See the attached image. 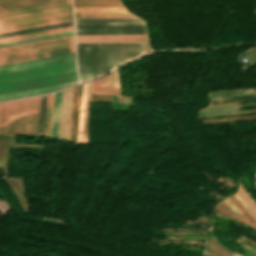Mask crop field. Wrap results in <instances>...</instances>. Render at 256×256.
<instances>
[{
    "label": "crop field",
    "mask_w": 256,
    "mask_h": 256,
    "mask_svg": "<svg viewBox=\"0 0 256 256\" xmlns=\"http://www.w3.org/2000/svg\"><path fill=\"white\" fill-rule=\"evenodd\" d=\"M41 96L1 103L0 133L37 136Z\"/></svg>",
    "instance_id": "crop-field-1"
},
{
    "label": "crop field",
    "mask_w": 256,
    "mask_h": 256,
    "mask_svg": "<svg viewBox=\"0 0 256 256\" xmlns=\"http://www.w3.org/2000/svg\"><path fill=\"white\" fill-rule=\"evenodd\" d=\"M72 18L71 4L0 16V31Z\"/></svg>",
    "instance_id": "crop-field-2"
},
{
    "label": "crop field",
    "mask_w": 256,
    "mask_h": 256,
    "mask_svg": "<svg viewBox=\"0 0 256 256\" xmlns=\"http://www.w3.org/2000/svg\"><path fill=\"white\" fill-rule=\"evenodd\" d=\"M101 75L142 53L141 43L98 44Z\"/></svg>",
    "instance_id": "crop-field-3"
},
{
    "label": "crop field",
    "mask_w": 256,
    "mask_h": 256,
    "mask_svg": "<svg viewBox=\"0 0 256 256\" xmlns=\"http://www.w3.org/2000/svg\"><path fill=\"white\" fill-rule=\"evenodd\" d=\"M76 72L75 62L1 74L0 85Z\"/></svg>",
    "instance_id": "crop-field-4"
},
{
    "label": "crop field",
    "mask_w": 256,
    "mask_h": 256,
    "mask_svg": "<svg viewBox=\"0 0 256 256\" xmlns=\"http://www.w3.org/2000/svg\"><path fill=\"white\" fill-rule=\"evenodd\" d=\"M80 81L100 75L97 44H77Z\"/></svg>",
    "instance_id": "crop-field-5"
},
{
    "label": "crop field",
    "mask_w": 256,
    "mask_h": 256,
    "mask_svg": "<svg viewBox=\"0 0 256 256\" xmlns=\"http://www.w3.org/2000/svg\"><path fill=\"white\" fill-rule=\"evenodd\" d=\"M75 52L74 43L0 56V65Z\"/></svg>",
    "instance_id": "crop-field-6"
},
{
    "label": "crop field",
    "mask_w": 256,
    "mask_h": 256,
    "mask_svg": "<svg viewBox=\"0 0 256 256\" xmlns=\"http://www.w3.org/2000/svg\"><path fill=\"white\" fill-rule=\"evenodd\" d=\"M146 34L144 25L76 26V35Z\"/></svg>",
    "instance_id": "crop-field-7"
},
{
    "label": "crop field",
    "mask_w": 256,
    "mask_h": 256,
    "mask_svg": "<svg viewBox=\"0 0 256 256\" xmlns=\"http://www.w3.org/2000/svg\"><path fill=\"white\" fill-rule=\"evenodd\" d=\"M73 61H75V53L0 66V74L19 71V70H25V69H31V68H37V67H43V66H49V65H55V64H61V63H67V62H73Z\"/></svg>",
    "instance_id": "crop-field-8"
},
{
    "label": "crop field",
    "mask_w": 256,
    "mask_h": 256,
    "mask_svg": "<svg viewBox=\"0 0 256 256\" xmlns=\"http://www.w3.org/2000/svg\"><path fill=\"white\" fill-rule=\"evenodd\" d=\"M77 80L76 73L0 86V93Z\"/></svg>",
    "instance_id": "crop-field-9"
},
{
    "label": "crop field",
    "mask_w": 256,
    "mask_h": 256,
    "mask_svg": "<svg viewBox=\"0 0 256 256\" xmlns=\"http://www.w3.org/2000/svg\"><path fill=\"white\" fill-rule=\"evenodd\" d=\"M72 42H74L73 36L59 38V39H53V40H47V41H41V42H35V43H29V44H23V45H17V46H11V47H5V48H0V55L20 52V51H26V50H32V49H38V48H43V47H49V46H55V45H60V44L72 43Z\"/></svg>",
    "instance_id": "crop-field-10"
},
{
    "label": "crop field",
    "mask_w": 256,
    "mask_h": 256,
    "mask_svg": "<svg viewBox=\"0 0 256 256\" xmlns=\"http://www.w3.org/2000/svg\"><path fill=\"white\" fill-rule=\"evenodd\" d=\"M75 82H69V83H63V84H57V85H51V86H45V87H39L37 88L40 94L49 93L52 91H56L62 87H67L70 85L76 84ZM36 88L34 89H28V90H22V91H16V92H10V93H4L0 94V101L9 100L13 98H19V97H26V96H32L39 94Z\"/></svg>",
    "instance_id": "crop-field-11"
},
{
    "label": "crop field",
    "mask_w": 256,
    "mask_h": 256,
    "mask_svg": "<svg viewBox=\"0 0 256 256\" xmlns=\"http://www.w3.org/2000/svg\"><path fill=\"white\" fill-rule=\"evenodd\" d=\"M92 83L94 92L121 94L117 71Z\"/></svg>",
    "instance_id": "crop-field-12"
},
{
    "label": "crop field",
    "mask_w": 256,
    "mask_h": 256,
    "mask_svg": "<svg viewBox=\"0 0 256 256\" xmlns=\"http://www.w3.org/2000/svg\"><path fill=\"white\" fill-rule=\"evenodd\" d=\"M77 42L147 41L146 35L76 36Z\"/></svg>",
    "instance_id": "crop-field-13"
},
{
    "label": "crop field",
    "mask_w": 256,
    "mask_h": 256,
    "mask_svg": "<svg viewBox=\"0 0 256 256\" xmlns=\"http://www.w3.org/2000/svg\"><path fill=\"white\" fill-rule=\"evenodd\" d=\"M76 25L144 24L138 18L75 19Z\"/></svg>",
    "instance_id": "crop-field-14"
},
{
    "label": "crop field",
    "mask_w": 256,
    "mask_h": 256,
    "mask_svg": "<svg viewBox=\"0 0 256 256\" xmlns=\"http://www.w3.org/2000/svg\"><path fill=\"white\" fill-rule=\"evenodd\" d=\"M63 91L55 95L51 139L58 140Z\"/></svg>",
    "instance_id": "crop-field-15"
},
{
    "label": "crop field",
    "mask_w": 256,
    "mask_h": 256,
    "mask_svg": "<svg viewBox=\"0 0 256 256\" xmlns=\"http://www.w3.org/2000/svg\"><path fill=\"white\" fill-rule=\"evenodd\" d=\"M233 195L256 220V203L254 204V202L251 200L252 198L250 199L241 186H239L238 190Z\"/></svg>",
    "instance_id": "crop-field-16"
},
{
    "label": "crop field",
    "mask_w": 256,
    "mask_h": 256,
    "mask_svg": "<svg viewBox=\"0 0 256 256\" xmlns=\"http://www.w3.org/2000/svg\"><path fill=\"white\" fill-rule=\"evenodd\" d=\"M74 7L122 6L119 0H73Z\"/></svg>",
    "instance_id": "crop-field-17"
},
{
    "label": "crop field",
    "mask_w": 256,
    "mask_h": 256,
    "mask_svg": "<svg viewBox=\"0 0 256 256\" xmlns=\"http://www.w3.org/2000/svg\"><path fill=\"white\" fill-rule=\"evenodd\" d=\"M71 30H73V26L54 29V30H48V31H42V32H37V33L25 34V35H20V36L2 38V39H0V43L14 41V40H20V39H26V38H31V37H37V36H43V35H48V34H54V33H59V32L71 31Z\"/></svg>",
    "instance_id": "crop-field-18"
},
{
    "label": "crop field",
    "mask_w": 256,
    "mask_h": 256,
    "mask_svg": "<svg viewBox=\"0 0 256 256\" xmlns=\"http://www.w3.org/2000/svg\"><path fill=\"white\" fill-rule=\"evenodd\" d=\"M69 3H71V0H63V1H57V2L33 5V6H27V7L3 10V11H0V15L9 14V13H15V12H21V11H27V10H33V9H39V8H45V7H51V6H57V5H63V4H69Z\"/></svg>",
    "instance_id": "crop-field-19"
},
{
    "label": "crop field",
    "mask_w": 256,
    "mask_h": 256,
    "mask_svg": "<svg viewBox=\"0 0 256 256\" xmlns=\"http://www.w3.org/2000/svg\"><path fill=\"white\" fill-rule=\"evenodd\" d=\"M71 35H73V31L54 34V35H48V36H43V37L31 38V39H26V40L14 41V42H9V43H3V44H0V47L23 44V43H29V42H35V41H41V40H47V39H53V38H59V37H65V36H71Z\"/></svg>",
    "instance_id": "crop-field-20"
},
{
    "label": "crop field",
    "mask_w": 256,
    "mask_h": 256,
    "mask_svg": "<svg viewBox=\"0 0 256 256\" xmlns=\"http://www.w3.org/2000/svg\"><path fill=\"white\" fill-rule=\"evenodd\" d=\"M50 1H56V0H14V1L2 2L0 3V10L38 4V3H44V2H50Z\"/></svg>",
    "instance_id": "crop-field-21"
},
{
    "label": "crop field",
    "mask_w": 256,
    "mask_h": 256,
    "mask_svg": "<svg viewBox=\"0 0 256 256\" xmlns=\"http://www.w3.org/2000/svg\"><path fill=\"white\" fill-rule=\"evenodd\" d=\"M75 13L127 12L124 7L74 8Z\"/></svg>",
    "instance_id": "crop-field-22"
},
{
    "label": "crop field",
    "mask_w": 256,
    "mask_h": 256,
    "mask_svg": "<svg viewBox=\"0 0 256 256\" xmlns=\"http://www.w3.org/2000/svg\"><path fill=\"white\" fill-rule=\"evenodd\" d=\"M71 25H73L72 22L58 24V25H52V26H46V27H40V28H34V29H28V30H22V31H16V32H10V33H4V34H0V38L19 35V34H25V33H31V32H37V31H42V30L54 29V28H59V27L71 26Z\"/></svg>",
    "instance_id": "crop-field-23"
},
{
    "label": "crop field",
    "mask_w": 256,
    "mask_h": 256,
    "mask_svg": "<svg viewBox=\"0 0 256 256\" xmlns=\"http://www.w3.org/2000/svg\"><path fill=\"white\" fill-rule=\"evenodd\" d=\"M135 17L130 13L75 14V18Z\"/></svg>",
    "instance_id": "crop-field-24"
},
{
    "label": "crop field",
    "mask_w": 256,
    "mask_h": 256,
    "mask_svg": "<svg viewBox=\"0 0 256 256\" xmlns=\"http://www.w3.org/2000/svg\"><path fill=\"white\" fill-rule=\"evenodd\" d=\"M53 95H48L44 136L49 137Z\"/></svg>",
    "instance_id": "crop-field-25"
},
{
    "label": "crop field",
    "mask_w": 256,
    "mask_h": 256,
    "mask_svg": "<svg viewBox=\"0 0 256 256\" xmlns=\"http://www.w3.org/2000/svg\"><path fill=\"white\" fill-rule=\"evenodd\" d=\"M47 95L42 96L38 136H43Z\"/></svg>",
    "instance_id": "crop-field-26"
},
{
    "label": "crop field",
    "mask_w": 256,
    "mask_h": 256,
    "mask_svg": "<svg viewBox=\"0 0 256 256\" xmlns=\"http://www.w3.org/2000/svg\"><path fill=\"white\" fill-rule=\"evenodd\" d=\"M70 21H72V19L64 20V21H58V22H53V23H47V24H42V25H36V26H30V27H25V28L13 29V30H8V31H2L0 33L16 31V30H22V29H28V28H34V27H40V26H46V25H52V24H58V23H64V22H70Z\"/></svg>",
    "instance_id": "crop-field-27"
},
{
    "label": "crop field",
    "mask_w": 256,
    "mask_h": 256,
    "mask_svg": "<svg viewBox=\"0 0 256 256\" xmlns=\"http://www.w3.org/2000/svg\"><path fill=\"white\" fill-rule=\"evenodd\" d=\"M227 206L234 212V214L239 217L242 216V214L239 212V210L233 205V203L229 200V198H226L223 200Z\"/></svg>",
    "instance_id": "crop-field-28"
},
{
    "label": "crop field",
    "mask_w": 256,
    "mask_h": 256,
    "mask_svg": "<svg viewBox=\"0 0 256 256\" xmlns=\"http://www.w3.org/2000/svg\"><path fill=\"white\" fill-rule=\"evenodd\" d=\"M256 118L255 116H249V117H243V118H233V119H227V120H218V121H208V122H203L204 124H209V123H218V122H229V121H237V120H244V119H252Z\"/></svg>",
    "instance_id": "crop-field-29"
},
{
    "label": "crop field",
    "mask_w": 256,
    "mask_h": 256,
    "mask_svg": "<svg viewBox=\"0 0 256 256\" xmlns=\"http://www.w3.org/2000/svg\"><path fill=\"white\" fill-rule=\"evenodd\" d=\"M247 103H249V102H247ZM239 104H243V103H239ZM231 105H237V104H231ZM222 106H227V105H222ZM214 107V106H213Z\"/></svg>",
    "instance_id": "crop-field-30"
},
{
    "label": "crop field",
    "mask_w": 256,
    "mask_h": 256,
    "mask_svg": "<svg viewBox=\"0 0 256 256\" xmlns=\"http://www.w3.org/2000/svg\"><path fill=\"white\" fill-rule=\"evenodd\" d=\"M2 1H8V0H0V2H2Z\"/></svg>",
    "instance_id": "crop-field-31"
},
{
    "label": "crop field",
    "mask_w": 256,
    "mask_h": 256,
    "mask_svg": "<svg viewBox=\"0 0 256 256\" xmlns=\"http://www.w3.org/2000/svg\"><path fill=\"white\" fill-rule=\"evenodd\" d=\"M238 254H235L234 256H237ZM239 256V255H238Z\"/></svg>",
    "instance_id": "crop-field-32"
},
{
    "label": "crop field",
    "mask_w": 256,
    "mask_h": 256,
    "mask_svg": "<svg viewBox=\"0 0 256 256\" xmlns=\"http://www.w3.org/2000/svg\"><path fill=\"white\" fill-rule=\"evenodd\" d=\"M233 255H234V253L231 256H233Z\"/></svg>",
    "instance_id": "crop-field-33"
},
{
    "label": "crop field",
    "mask_w": 256,
    "mask_h": 256,
    "mask_svg": "<svg viewBox=\"0 0 256 256\" xmlns=\"http://www.w3.org/2000/svg\"><path fill=\"white\" fill-rule=\"evenodd\" d=\"M204 256H205V255H204ZM206 256H208V254H207Z\"/></svg>",
    "instance_id": "crop-field-34"
}]
</instances>
